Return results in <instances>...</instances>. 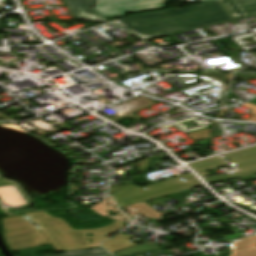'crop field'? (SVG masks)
I'll return each mask as SVG.
<instances>
[{
	"instance_id": "11",
	"label": "crop field",
	"mask_w": 256,
	"mask_h": 256,
	"mask_svg": "<svg viewBox=\"0 0 256 256\" xmlns=\"http://www.w3.org/2000/svg\"><path fill=\"white\" fill-rule=\"evenodd\" d=\"M221 165L227 166L228 164H226L224 161H222L218 157L189 164V166L192 167L198 173L208 171V170H211V169H215V168H217L218 166H221Z\"/></svg>"
},
{
	"instance_id": "15",
	"label": "crop field",
	"mask_w": 256,
	"mask_h": 256,
	"mask_svg": "<svg viewBox=\"0 0 256 256\" xmlns=\"http://www.w3.org/2000/svg\"><path fill=\"white\" fill-rule=\"evenodd\" d=\"M204 1H214V0H199V2H204Z\"/></svg>"
},
{
	"instance_id": "4",
	"label": "crop field",
	"mask_w": 256,
	"mask_h": 256,
	"mask_svg": "<svg viewBox=\"0 0 256 256\" xmlns=\"http://www.w3.org/2000/svg\"><path fill=\"white\" fill-rule=\"evenodd\" d=\"M166 0H96L93 8L105 18L125 13L160 9Z\"/></svg>"
},
{
	"instance_id": "9",
	"label": "crop field",
	"mask_w": 256,
	"mask_h": 256,
	"mask_svg": "<svg viewBox=\"0 0 256 256\" xmlns=\"http://www.w3.org/2000/svg\"><path fill=\"white\" fill-rule=\"evenodd\" d=\"M130 237H133V236L119 234L113 239L109 240L108 242L102 244V246L105 247L110 252H113V251H117L120 249H124L130 246L136 245L134 243H131L133 241L127 240Z\"/></svg>"
},
{
	"instance_id": "16",
	"label": "crop field",
	"mask_w": 256,
	"mask_h": 256,
	"mask_svg": "<svg viewBox=\"0 0 256 256\" xmlns=\"http://www.w3.org/2000/svg\"><path fill=\"white\" fill-rule=\"evenodd\" d=\"M40 256H45V255H40Z\"/></svg>"
},
{
	"instance_id": "7",
	"label": "crop field",
	"mask_w": 256,
	"mask_h": 256,
	"mask_svg": "<svg viewBox=\"0 0 256 256\" xmlns=\"http://www.w3.org/2000/svg\"><path fill=\"white\" fill-rule=\"evenodd\" d=\"M221 3L234 19L256 14V0H222Z\"/></svg>"
},
{
	"instance_id": "8",
	"label": "crop field",
	"mask_w": 256,
	"mask_h": 256,
	"mask_svg": "<svg viewBox=\"0 0 256 256\" xmlns=\"http://www.w3.org/2000/svg\"><path fill=\"white\" fill-rule=\"evenodd\" d=\"M230 256H256V235L231 243Z\"/></svg>"
},
{
	"instance_id": "12",
	"label": "crop field",
	"mask_w": 256,
	"mask_h": 256,
	"mask_svg": "<svg viewBox=\"0 0 256 256\" xmlns=\"http://www.w3.org/2000/svg\"><path fill=\"white\" fill-rule=\"evenodd\" d=\"M47 256H109L100 248L62 252V254H47Z\"/></svg>"
},
{
	"instance_id": "14",
	"label": "crop field",
	"mask_w": 256,
	"mask_h": 256,
	"mask_svg": "<svg viewBox=\"0 0 256 256\" xmlns=\"http://www.w3.org/2000/svg\"><path fill=\"white\" fill-rule=\"evenodd\" d=\"M117 203L119 204V206H120L121 208H124L125 206H127V205H124V204L119 203V202H117Z\"/></svg>"
},
{
	"instance_id": "18",
	"label": "crop field",
	"mask_w": 256,
	"mask_h": 256,
	"mask_svg": "<svg viewBox=\"0 0 256 256\" xmlns=\"http://www.w3.org/2000/svg\"><path fill=\"white\" fill-rule=\"evenodd\" d=\"M0 256H2V255L0 254Z\"/></svg>"
},
{
	"instance_id": "17",
	"label": "crop field",
	"mask_w": 256,
	"mask_h": 256,
	"mask_svg": "<svg viewBox=\"0 0 256 256\" xmlns=\"http://www.w3.org/2000/svg\"><path fill=\"white\" fill-rule=\"evenodd\" d=\"M0 29H1V24H0Z\"/></svg>"
},
{
	"instance_id": "3",
	"label": "crop field",
	"mask_w": 256,
	"mask_h": 256,
	"mask_svg": "<svg viewBox=\"0 0 256 256\" xmlns=\"http://www.w3.org/2000/svg\"><path fill=\"white\" fill-rule=\"evenodd\" d=\"M184 178L188 182L184 183L179 179ZM201 186V184L190 173L184 174L157 184L147 186L148 190L141 189L137 193L119 201L124 204H131L183 190H187L193 187Z\"/></svg>"
},
{
	"instance_id": "2",
	"label": "crop field",
	"mask_w": 256,
	"mask_h": 256,
	"mask_svg": "<svg viewBox=\"0 0 256 256\" xmlns=\"http://www.w3.org/2000/svg\"><path fill=\"white\" fill-rule=\"evenodd\" d=\"M232 20L223 5L217 1L184 9H172L111 21L135 36L146 40Z\"/></svg>"
},
{
	"instance_id": "6",
	"label": "crop field",
	"mask_w": 256,
	"mask_h": 256,
	"mask_svg": "<svg viewBox=\"0 0 256 256\" xmlns=\"http://www.w3.org/2000/svg\"><path fill=\"white\" fill-rule=\"evenodd\" d=\"M94 1L95 0H65L76 19L107 22L105 18L91 10Z\"/></svg>"
},
{
	"instance_id": "1",
	"label": "crop field",
	"mask_w": 256,
	"mask_h": 256,
	"mask_svg": "<svg viewBox=\"0 0 256 256\" xmlns=\"http://www.w3.org/2000/svg\"><path fill=\"white\" fill-rule=\"evenodd\" d=\"M2 223L4 238L11 251L48 243L59 251L97 247L107 238L105 237L107 234L123 228L121 222L115 221L96 229L74 230L64 219L51 216L47 211L4 218ZM87 233L93 236L89 237Z\"/></svg>"
},
{
	"instance_id": "13",
	"label": "crop field",
	"mask_w": 256,
	"mask_h": 256,
	"mask_svg": "<svg viewBox=\"0 0 256 256\" xmlns=\"http://www.w3.org/2000/svg\"><path fill=\"white\" fill-rule=\"evenodd\" d=\"M139 189L140 188H137V187L129 185V186L121 189L120 191H118V192H116V193H114L112 195H113V197L115 198V200L117 202L118 200H120V199H122V198H124V197H126V196H128V195H130V194H132V193H134L136 191H138Z\"/></svg>"
},
{
	"instance_id": "10",
	"label": "crop field",
	"mask_w": 256,
	"mask_h": 256,
	"mask_svg": "<svg viewBox=\"0 0 256 256\" xmlns=\"http://www.w3.org/2000/svg\"><path fill=\"white\" fill-rule=\"evenodd\" d=\"M128 207L135 210L140 215H143L158 221L163 219L162 216L170 214L169 211L160 213L145 202L137 205H133V206H128Z\"/></svg>"
},
{
	"instance_id": "5",
	"label": "crop field",
	"mask_w": 256,
	"mask_h": 256,
	"mask_svg": "<svg viewBox=\"0 0 256 256\" xmlns=\"http://www.w3.org/2000/svg\"><path fill=\"white\" fill-rule=\"evenodd\" d=\"M241 173L204 178L208 184L256 174V146L224 155Z\"/></svg>"
}]
</instances>
